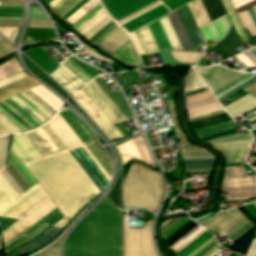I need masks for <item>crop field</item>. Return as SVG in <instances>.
I'll return each mask as SVG.
<instances>
[{"label":"crop field","instance_id":"8a807250","mask_svg":"<svg viewBox=\"0 0 256 256\" xmlns=\"http://www.w3.org/2000/svg\"><path fill=\"white\" fill-rule=\"evenodd\" d=\"M35 161L75 212L89 198L100 192L67 149L35 159ZM35 161L27 162L23 166L62 215L71 217L75 212Z\"/></svg>","mask_w":256,"mask_h":256},{"label":"crop field","instance_id":"ac0d7876","mask_svg":"<svg viewBox=\"0 0 256 256\" xmlns=\"http://www.w3.org/2000/svg\"><path fill=\"white\" fill-rule=\"evenodd\" d=\"M64 256H121L120 211L107 197L71 232Z\"/></svg>","mask_w":256,"mask_h":256},{"label":"crop field","instance_id":"34b2d1b8","mask_svg":"<svg viewBox=\"0 0 256 256\" xmlns=\"http://www.w3.org/2000/svg\"><path fill=\"white\" fill-rule=\"evenodd\" d=\"M140 164H131L123 180V206L125 209L143 207L153 212L163 197V178L161 173Z\"/></svg>","mask_w":256,"mask_h":256},{"label":"crop field","instance_id":"412701ff","mask_svg":"<svg viewBox=\"0 0 256 256\" xmlns=\"http://www.w3.org/2000/svg\"><path fill=\"white\" fill-rule=\"evenodd\" d=\"M25 193L9 175L5 168L0 170V213L20 199ZM38 210L25 194L19 201L4 211L0 216L19 220L3 231L4 238L21 226Z\"/></svg>","mask_w":256,"mask_h":256},{"label":"crop field","instance_id":"f4fd0767","mask_svg":"<svg viewBox=\"0 0 256 256\" xmlns=\"http://www.w3.org/2000/svg\"><path fill=\"white\" fill-rule=\"evenodd\" d=\"M161 19L176 50L197 51L199 31L186 5Z\"/></svg>","mask_w":256,"mask_h":256},{"label":"crop field","instance_id":"dd49c442","mask_svg":"<svg viewBox=\"0 0 256 256\" xmlns=\"http://www.w3.org/2000/svg\"><path fill=\"white\" fill-rule=\"evenodd\" d=\"M244 221H246L245 217L236 208H234L217 214L210 220L202 223V225L205 226L206 228L213 225L220 229L221 231L225 232L226 234H229ZM251 226L252 225L247 220L227 237L229 238V240L231 238L234 240ZM254 229L255 228L252 226L234 241L231 239L234 244L229 248V250L236 251L244 255L247 252V249L252 240ZM226 234L223 233V235L225 236Z\"/></svg>","mask_w":256,"mask_h":256},{"label":"crop field","instance_id":"e52e79f7","mask_svg":"<svg viewBox=\"0 0 256 256\" xmlns=\"http://www.w3.org/2000/svg\"><path fill=\"white\" fill-rule=\"evenodd\" d=\"M99 74L101 73L97 70L85 65L71 56L58 69L49 75L58 81L59 84L69 94H71L80 86Z\"/></svg>","mask_w":256,"mask_h":256},{"label":"crop field","instance_id":"d8731c3e","mask_svg":"<svg viewBox=\"0 0 256 256\" xmlns=\"http://www.w3.org/2000/svg\"><path fill=\"white\" fill-rule=\"evenodd\" d=\"M190 1L158 0L117 23L130 33Z\"/></svg>","mask_w":256,"mask_h":256},{"label":"crop field","instance_id":"5a996713","mask_svg":"<svg viewBox=\"0 0 256 256\" xmlns=\"http://www.w3.org/2000/svg\"><path fill=\"white\" fill-rule=\"evenodd\" d=\"M123 216L124 256H157L151 239V223L145 222L144 228L125 227Z\"/></svg>","mask_w":256,"mask_h":256},{"label":"crop field","instance_id":"3316defc","mask_svg":"<svg viewBox=\"0 0 256 256\" xmlns=\"http://www.w3.org/2000/svg\"><path fill=\"white\" fill-rule=\"evenodd\" d=\"M169 221V220H168ZM191 220L188 218L186 219H179V220H170L169 222H165L162 226L163 235L166 237V239L170 238L172 235H174L176 232H178L181 228H183L185 225H187ZM196 226H198L195 222L189 223L187 226H185L183 229H181L178 233H176L174 236H172L170 239L167 240L169 247L173 245L175 242H177L179 239H181L184 235H186L188 232H190L192 229H194ZM202 228L200 225L196 227L194 230H192L190 233H188L185 237H183L181 240H179L177 243H175L173 246L170 247L173 251L176 250L178 247H180L182 244H184L186 241H188L190 238H192L194 235H196L198 232H200ZM206 230H202L200 233H198L196 236H194L192 239H190L188 242H186L184 245H182L180 248H178L175 252L177 254L179 251H181L184 247H186L189 243H191L193 240H195L198 236H200L203 232Z\"/></svg>","mask_w":256,"mask_h":256},{"label":"crop field","instance_id":"28ad6ade","mask_svg":"<svg viewBox=\"0 0 256 256\" xmlns=\"http://www.w3.org/2000/svg\"><path fill=\"white\" fill-rule=\"evenodd\" d=\"M59 113L83 144L93 140V134L90 130L71 111L63 109ZM85 146L110 177L112 171V163L110 159L94 146L93 141L85 144Z\"/></svg>","mask_w":256,"mask_h":256},{"label":"crop field","instance_id":"d1516ede","mask_svg":"<svg viewBox=\"0 0 256 256\" xmlns=\"http://www.w3.org/2000/svg\"><path fill=\"white\" fill-rule=\"evenodd\" d=\"M48 225L50 227V224L47 222V220L43 217V215L38 211L35 213L31 218L28 219L26 223H24L21 227H19L16 231H14L12 234H10L7 238H5V243L8 244L11 241L17 239L18 237L24 235L27 236L30 233L34 232L38 228L42 227L43 225ZM43 226L42 228L38 229L34 233L30 234L27 237H20L17 240L11 242L10 244L6 245V251L9 253L12 250L16 249L20 245H24L34 239L36 236L41 234L43 231H45L47 226Z\"/></svg>","mask_w":256,"mask_h":256},{"label":"crop field","instance_id":"22f410ed","mask_svg":"<svg viewBox=\"0 0 256 256\" xmlns=\"http://www.w3.org/2000/svg\"><path fill=\"white\" fill-rule=\"evenodd\" d=\"M252 141L251 134L234 135L219 140L212 141L211 144L218 150H233V149H243L248 148ZM248 149L244 150H234V151H224L222 153L227 163H243L245 162V154Z\"/></svg>","mask_w":256,"mask_h":256},{"label":"crop field","instance_id":"cbeb9de0","mask_svg":"<svg viewBox=\"0 0 256 256\" xmlns=\"http://www.w3.org/2000/svg\"><path fill=\"white\" fill-rule=\"evenodd\" d=\"M200 77L204 80L212 93H216L233 81L246 75L240 72L228 70L219 66L210 68H194Z\"/></svg>","mask_w":256,"mask_h":256},{"label":"crop field","instance_id":"5142ce71","mask_svg":"<svg viewBox=\"0 0 256 256\" xmlns=\"http://www.w3.org/2000/svg\"><path fill=\"white\" fill-rule=\"evenodd\" d=\"M227 120H231V118L226 113H224V114H220V115H217V116L206 118V119H203V120H200V121L193 122L192 124L194 126V129L196 130V129L207 127V126H210V125H213V124L224 122V121H227ZM230 124H234V122L231 120V121H227V122H224V123H220V124H217V125H214V126H210V127H207V128L196 130V133L197 134L202 133V132H205V131L220 128V127L227 126V125H230ZM233 129H234V125H230V126L223 127V128H220V129H216V130H212V131L205 132V133H202V134H198L197 137H199L200 140H202V139H205V138L217 135V134H221V133L233 130ZM233 134H234V130L230 131V132H227V133H224V134H221V135H218V136H214V137L202 140V141L208 142V141H211V140L219 139V138L226 137V136L233 135Z\"/></svg>","mask_w":256,"mask_h":256},{"label":"crop field","instance_id":"d9b57169","mask_svg":"<svg viewBox=\"0 0 256 256\" xmlns=\"http://www.w3.org/2000/svg\"><path fill=\"white\" fill-rule=\"evenodd\" d=\"M81 89L89 96V98L97 105V107L111 121L113 125L119 122L127 121L125 116L120 112L115 104L93 81Z\"/></svg>","mask_w":256,"mask_h":256},{"label":"crop field","instance_id":"733c2abd","mask_svg":"<svg viewBox=\"0 0 256 256\" xmlns=\"http://www.w3.org/2000/svg\"><path fill=\"white\" fill-rule=\"evenodd\" d=\"M182 148L195 147L188 143L182 132L179 133ZM184 158L212 157L206 151L198 148L182 149ZM215 163L214 158L184 159L186 172L211 171Z\"/></svg>","mask_w":256,"mask_h":256},{"label":"crop field","instance_id":"4a817a6b","mask_svg":"<svg viewBox=\"0 0 256 256\" xmlns=\"http://www.w3.org/2000/svg\"><path fill=\"white\" fill-rule=\"evenodd\" d=\"M110 20V17L99 3L72 26L75 27L86 39H89L108 22H110Z\"/></svg>","mask_w":256,"mask_h":256},{"label":"crop field","instance_id":"bc2a9ffb","mask_svg":"<svg viewBox=\"0 0 256 256\" xmlns=\"http://www.w3.org/2000/svg\"><path fill=\"white\" fill-rule=\"evenodd\" d=\"M204 2L213 21L226 14L220 0H204ZM204 2L195 0L187 4L198 28L212 21Z\"/></svg>","mask_w":256,"mask_h":256},{"label":"crop field","instance_id":"214f88e0","mask_svg":"<svg viewBox=\"0 0 256 256\" xmlns=\"http://www.w3.org/2000/svg\"><path fill=\"white\" fill-rule=\"evenodd\" d=\"M72 96L111 140L123 137L81 89Z\"/></svg>","mask_w":256,"mask_h":256},{"label":"crop field","instance_id":"92a150f3","mask_svg":"<svg viewBox=\"0 0 256 256\" xmlns=\"http://www.w3.org/2000/svg\"><path fill=\"white\" fill-rule=\"evenodd\" d=\"M118 149L123 164H126L129 160L135 158L151 166L156 165L142 136L119 145Z\"/></svg>","mask_w":256,"mask_h":256},{"label":"crop field","instance_id":"dafd665d","mask_svg":"<svg viewBox=\"0 0 256 256\" xmlns=\"http://www.w3.org/2000/svg\"><path fill=\"white\" fill-rule=\"evenodd\" d=\"M117 22L156 0H100Z\"/></svg>","mask_w":256,"mask_h":256},{"label":"crop field","instance_id":"00972430","mask_svg":"<svg viewBox=\"0 0 256 256\" xmlns=\"http://www.w3.org/2000/svg\"><path fill=\"white\" fill-rule=\"evenodd\" d=\"M0 8H23L22 0H0ZM25 9H0V17L24 18ZM0 18V26L21 27L23 19Z\"/></svg>","mask_w":256,"mask_h":256},{"label":"crop field","instance_id":"a9b5d70f","mask_svg":"<svg viewBox=\"0 0 256 256\" xmlns=\"http://www.w3.org/2000/svg\"><path fill=\"white\" fill-rule=\"evenodd\" d=\"M25 77H27V76L23 72L15 75V76H12L10 78L0 81V87H3L5 85H8L10 83H13V82L20 80L22 78H25ZM35 85H38V83L33 81L31 78L27 77L18 82H15L13 84H10L8 86L0 88V99L6 97L8 95H11L13 93H16L18 91L30 88Z\"/></svg>","mask_w":256,"mask_h":256},{"label":"crop field","instance_id":"4177f3b9","mask_svg":"<svg viewBox=\"0 0 256 256\" xmlns=\"http://www.w3.org/2000/svg\"><path fill=\"white\" fill-rule=\"evenodd\" d=\"M129 40V36L121 28L118 27L96 46L112 55Z\"/></svg>","mask_w":256,"mask_h":256},{"label":"crop field","instance_id":"730fd06b","mask_svg":"<svg viewBox=\"0 0 256 256\" xmlns=\"http://www.w3.org/2000/svg\"><path fill=\"white\" fill-rule=\"evenodd\" d=\"M103 92L116 104V106L121 110V112L126 116L128 120L133 117L120 90L113 92L109 85L102 79L101 76L93 80Z\"/></svg>","mask_w":256,"mask_h":256},{"label":"crop field","instance_id":"eef30255","mask_svg":"<svg viewBox=\"0 0 256 256\" xmlns=\"http://www.w3.org/2000/svg\"><path fill=\"white\" fill-rule=\"evenodd\" d=\"M31 60L39 65L48 74L59 66L44 50L42 47L33 48L24 52Z\"/></svg>","mask_w":256,"mask_h":256},{"label":"crop field","instance_id":"ae1a2a85","mask_svg":"<svg viewBox=\"0 0 256 256\" xmlns=\"http://www.w3.org/2000/svg\"><path fill=\"white\" fill-rule=\"evenodd\" d=\"M255 81L256 74H248L214 95L220 103L226 98L234 95L235 93L239 92L240 90H242L243 88L247 87Z\"/></svg>","mask_w":256,"mask_h":256},{"label":"crop field","instance_id":"d3111659","mask_svg":"<svg viewBox=\"0 0 256 256\" xmlns=\"http://www.w3.org/2000/svg\"><path fill=\"white\" fill-rule=\"evenodd\" d=\"M223 108L234 118L256 108V99L248 94Z\"/></svg>","mask_w":256,"mask_h":256},{"label":"crop field","instance_id":"750c4746","mask_svg":"<svg viewBox=\"0 0 256 256\" xmlns=\"http://www.w3.org/2000/svg\"><path fill=\"white\" fill-rule=\"evenodd\" d=\"M214 240L213 236L206 231L176 256H194Z\"/></svg>","mask_w":256,"mask_h":256},{"label":"crop field","instance_id":"bd1437ed","mask_svg":"<svg viewBox=\"0 0 256 256\" xmlns=\"http://www.w3.org/2000/svg\"><path fill=\"white\" fill-rule=\"evenodd\" d=\"M87 1L89 0H81L77 5H75L71 10H69L65 15H63L61 18L64 20L68 18L71 14H73L76 10H78L81 6H83ZM98 0H90L88 3H86L83 7H81L78 11H76L73 15H71L67 21L69 24H73L76 22L81 16H83L87 11H89L91 8H93L96 4H98Z\"/></svg>","mask_w":256,"mask_h":256},{"label":"crop field","instance_id":"1d83c4d3","mask_svg":"<svg viewBox=\"0 0 256 256\" xmlns=\"http://www.w3.org/2000/svg\"><path fill=\"white\" fill-rule=\"evenodd\" d=\"M207 87L191 68L186 78L184 97L207 91Z\"/></svg>","mask_w":256,"mask_h":256},{"label":"crop field","instance_id":"120bbe31","mask_svg":"<svg viewBox=\"0 0 256 256\" xmlns=\"http://www.w3.org/2000/svg\"><path fill=\"white\" fill-rule=\"evenodd\" d=\"M30 9V19L28 27L53 28L46 19L40 8L34 3H28Z\"/></svg>","mask_w":256,"mask_h":256},{"label":"crop field","instance_id":"d32e631a","mask_svg":"<svg viewBox=\"0 0 256 256\" xmlns=\"http://www.w3.org/2000/svg\"><path fill=\"white\" fill-rule=\"evenodd\" d=\"M113 56L116 58L126 62L129 65H134V66H140L142 65L136 51L131 43L129 41L127 44H125L118 52H116Z\"/></svg>","mask_w":256,"mask_h":256},{"label":"crop field","instance_id":"5866460e","mask_svg":"<svg viewBox=\"0 0 256 256\" xmlns=\"http://www.w3.org/2000/svg\"><path fill=\"white\" fill-rule=\"evenodd\" d=\"M241 45H243V44L240 42L234 28L232 27L227 38L222 43H220L218 45V47L221 48L229 57H232V56L240 53L235 48H237Z\"/></svg>","mask_w":256,"mask_h":256},{"label":"crop field","instance_id":"028f5c9d","mask_svg":"<svg viewBox=\"0 0 256 256\" xmlns=\"http://www.w3.org/2000/svg\"><path fill=\"white\" fill-rule=\"evenodd\" d=\"M80 0H62L51 10L58 14L60 17L65 14L71 7H73Z\"/></svg>","mask_w":256,"mask_h":256},{"label":"crop field","instance_id":"e1f06a70","mask_svg":"<svg viewBox=\"0 0 256 256\" xmlns=\"http://www.w3.org/2000/svg\"><path fill=\"white\" fill-rule=\"evenodd\" d=\"M63 238H64V235L59 240H57L55 243L48 246L41 252H39V256H59V250H60Z\"/></svg>","mask_w":256,"mask_h":256},{"label":"crop field","instance_id":"0bd39190","mask_svg":"<svg viewBox=\"0 0 256 256\" xmlns=\"http://www.w3.org/2000/svg\"><path fill=\"white\" fill-rule=\"evenodd\" d=\"M117 27V24L112 20L110 24H108L104 29H102L89 41L96 45L99 41H101L104 37H106L110 32H112Z\"/></svg>","mask_w":256,"mask_h":256},{"label":"crop field","instance_id":"b80d0937","mask_svg":"<svg viewBox=\"0 0 256 256\" xmlns=\"http://www.w3.org/2000/svg\"><path fill=\"white\" fill-rule=\"evenodd\" d=\"M241 63L247 62L250 67L256 66V47L237 56Z\"/></svg>","mask_w":256,"mask_h":256},{"label":"crop field","instance_id":"c035e120","mask_svg":"<svg viewBox=\"0 0 256 256\" xmlns=\"http://www.w3.org/2000/svg\"><path fill=\"white\" fill-rule=\"evenodd\" d=\"M256 218V206L251 203L245 206ZM244 206L239 207L238 209L242 212V214L253 224V226L256 228V219L253 217V215L245 208Z\"/></svg>","mask_w":256,"mask_h":256},{"label":"crop field","instance_id":"c21b1889","mask_svg":"<svg viewBox=\"0 0 256 256\" xmlns=\"http://www.w3.org/2000/svg\"><path fill=\"white\" fill-rule=\"evenodd\" d=\"M27 36L56 37L53 29L28 28Z\"/></svg>","mask_w":256,"mask_h":256},{"label":"crop field","instance_id":"03da06ac","mask_svg":"<svg viewBox=\"0 0 256 256\" xmlns=\"http://www.w3.org/2000/svg\"><path fill=\"white\" fill-rule=\"evenodd\" d=\"M14 51H16V49L0 36V60Z\"/></svg>","mask_w":256,"mask_h":256},{"label":"crop field","instance_id":"b54c1fbb","mask_svg":"<svg viewBox=\"0 0 256 256\" xmlns=\"http://www.w3.org/2000/svg\"><path fill=\"white\" fill-rule=\"evenodd\" d=\"M41 128L48 135V137L53 141V143L58 147L59 150L65 149L64 145L60 142V140L56 137V135L52 132V130L48 127L47 124Z\"/></svg>","mask_w":256,"mask_h":256},{"label":"crop field","instance_id":"5d738f31","mask_svg":"<svg viewBox=\"0 0 256 256\" xmlns=\"http://www.w3.org/2000/svg\"><path fill=\"white\" fill-rule=\"evenodd\" d=\"M208 98H212V95L209 93V91L205 92V93L195 95V96H192V97H189V98H186L185 103L187 105V104H191V103L198 102V101H201V100H205V99H208Z\"/></svg>","mask_w":256,"mask_h":256},{"label":"crop field","instance_id":"d23c7cc5","mask_svg":"<svg viewBox=\"0 0 256 256\" xmlns=\"http://www.w3.org/2000/svg\"><path fill=\"white\" fill-rule=\"evenodd\" d=\"M217 246L218 245H217L216 241H214L207 248H205L203 251H201L197 256H205V255H207L210 251H212ZM218 252H219V249L217 247L212 252H210L207 256H214Z\"/></svg>","mask_w":256,"mask_h":256},{"label":"crop field","instance_id":"425ffa30","mask_svg":"<svg viewBox=\"0 0 256 256\" xmlns=\"http://www.w3.org/2000/svg\"><path fill=\"white\" fill-rule=\"evenodd\" d=\"M84 53H87V54H89V55H91V56H94V57H96V58H98V59H100V60H102V61H105V62H107V63H110V64H112V65H114L116 62H114V61H112V60H110V59H108V58H106V57H104V56H101L96 50H94V49H92V48H86L85 50H84Z\"/></svg>","mask_w":256,"mask_h":256},{"label":"crop field","instance_id":"25e5ab78","mask_svg":"<svg viewBox=\"0 0 256 256\" xmlns=\"http://www.w3.org/2000/svg\"><path fill=\"white\" fill-rule=\"evenodd\" d=\"M17 220L18 219H10V218H5V217H0V228L3 231L5 228L10 226L11 224H13Z\"/></svg>","mask_w":256,"mask_h":256},{"label":"crop field","instance_id":"73cf0c24","mask_svg":"<svg viewBox=\"0 0 256 256\" xmlns=\"http://www.w3.org/2000/svg\"><path fill=\"white\" fill-rule=\"evenodd\" d=\"M255 254H256V240L253 239L246 255L255 256Z\"/></svg>","mask_w":256,"mask_h":256},{"label":"crop field","instance_id":"89e229c0","mask_svg":"<svg viewBox=\"0 0 256 256\" xmlns=\"http://www.w3.org/2000/svg\"><path fill=\"white\" fill-rule=\"evenodd\" d=\"M256 97V82L247 88L243 89Z\"/></svg>","mask_w":256,"mask_h":256},{"label":"crop field","instance_id":"1f2cbd36","mask_svg":"<svg viewBox=\"0 0 256 256\" xmlns=\"http://www.w3.org/2000/svg\"><path fill=\"white\" fill-rule=\"evenodd\" d=\"M211 216H213V214L208 213V214H205V215H203V216H201V217L193 218V220H195V221H197V222H200V221H203V220H205V219L210 218Z\"/></svg>","mask_w":256,"mask_h":256},{"label":"crop field","instance_id":"dbb93151","mask_svg":"<svg viewBox=\"0 0 256 256\" xmlns=\"http://www.w3.org/2000/svg\"><path fill=\"white\" fill-rule=\"evenodd\" d=\"M253 21H256V6L248 9Z\"/></svg>","mask_w":256,"mask_h":256},{"label":"crop field","instance_id":"0fb4a251","mask_svg":"<svg viewBox=\"0 0 256 256\" xmlns=\"http://www.w3.org/2000/svg\"><path fill=\"white\" fill-rule=\"evenodd\" d=\"M250 119H248V122L251 123L256 120V111L252 112V114L248 115Z\"/></svg>","mask_w":256,"mask_h":256},{"label":"crop field","instance_id":"1d79db26","mask_svg":"<svg viewBox=\"0 0 256 256\" xmlns=\"http://www.w3.org/2000/svg\"><path fill=\"white\" fill-rule=\"evenodd\" d=\"M56 47H58V46L43 47V48L45 49L46 52H48V51H50V50H52V49H54Z\"/></svg>","mask_w":256,"mask_h":256},{"label":"crop field","instance_id":"9d1cf04e","mask_svg":"<svg viewBox=\"0 0 256 256\" xmlns=\"http://www.w3.org/2000/svg\"><path fill=\"white\" fill-rule=\"evenodd\" d=\"M252 126H253L254 128H256V123L252 124Z\"/></svg>","mask_w":256,"mask_h":256},{"label":"crop field","instance_id":"447ae74e","mask_svg":"<svg viewBox=\"0 0 256 256\" xmlns=\"http://www.w3.org/2000/svg\"><path fill=\"white\" fill-rule=\"evenodd\" d=\"M33 256H38V253H37V254H35V255H33Z\"/></svg>","mask_w":256,"mask_h":256},{"label":"crop field","instance_id":"0765c3eb","mask_svg":"<svg viewBox=\"0 0 256 256\" xmlns=\"http://www.w3.org/2000/svg\"><path fill=\"white\" fill-rule=\"evenodd\" d=\"M254 204L256 205V202H254Z\"/></svg>","mask_w":256,"mask_h":256},{"label":"crop field","instance_id":"db79e9e6","mask_svg":"<svg viewBox=\"0 0 256 256\" xmlns=\"http://www.w3.org/2000/svg\"><path fill=\"white\" fill-rule=\"evenodd\" d=\"M255 153H256V150H255Z\"/></svg>","mask_w":256,"mask_h":256},{"label":"crop field","instance_id":"7b73153f","mask_svg":"<svg viewBox=\"0 0 256 256\" xmlns=\"http://www.w3.org/2000/svg\"><path fill=\"white\" fill-rule=\"evenodd\" d=\"M0 249H1V247H0Z\"/></svg>","mask_w":256,"mask_h":256}]
</instances>
